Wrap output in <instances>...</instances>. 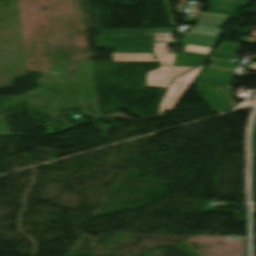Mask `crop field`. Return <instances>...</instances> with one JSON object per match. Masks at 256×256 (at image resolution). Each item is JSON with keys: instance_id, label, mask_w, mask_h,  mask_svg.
I'll return each mask as SVG.
<instances>
[{"instance_id": "crop-field-8", "label": "crop field", "mask_w": 256, "mask_h": 256, "mask_svg": "<svg viewBox=\"0 0 256 256\" xmlns=\"http://www.w3.org/2000/svg\"><path fill=\"white\" fill-rule=\"evenodd\" d=\"M162 47L163 49H160ZM153 52L160 63H173L176 53H168L165 43H154Z\"/></svg>"}, {"instance_id": "crop-field-10", "label": "crop field", "mask_w": 256, "mask_h": 256, "mask_svg": "<svg viewBox=\"0 0 256 256\" xmlns=\"http://www.w3.org/2000/svg\"><path fill=\"white\" fill-rule=\"evenodd\" d=\"M154 42L176 43L172 40V29L153 30Z\"/></svg>"}, {"instance_id": "crop-field-6", "label": "crop field", "mask_w": 256, "mask_h": 256, "mask_svg": "<svg viewBox=\"0 0 256 256\" xmlns=\"http://www.w3.org/2000/svg\"><path fill=\"white\" fill-rule=\"evenodd\" d=\"M247 2L248 0H210L209 13L230 15L235 11L236 6L245 5Z\"/></svg>"}, {"instance_id": "crop-field-2", "label": "crop field", "mask_w": 256, "mask_h": 256, "mask_svg": "<svg viewBox=\"0 0 256 256\" xmlns=\"http://www.w3.org/2000/svg\"><path fill=\"white\" fill-rule=\"evenodd\" d=\"M221 29L197 26L192 35L185 34L181 43L212 48Z\"/></svg>"}, {"instance_id": "crop-field-9", "label": "crop field", "mask_w": 256, "mask_h": 256, "mask_svg": "<svg viewBox=\"0 0 256 256\" xmlns=\"http://www.w3.org/2000/svg\"><path fill=\"white\" fill-rule=\"evenodd\" d=\"M113 61H156L153 54H112Z\"/></svg>"}, {"instance_id": "crop-field-7", "label": "crop field", "mask_w": 256, "mask_h": 256, "mask_svg": "<svg viewBox=\"0 0 256 256\" xmlns=\"http://www.w3.org/2000/svg\"><path fill=\"white\" fill-rule=\"evenodd\" d=\"M229 17L215 15H200L197 25L219 28Z\"/></svg>"}, {"instance_id": "crop-field-5", "label": "crop field", "mask_w": 256, "mask_h": 256, "mask_svg": "<svg viewBox=\"0 0 256 256\" xmlns=\"http://www.w3.org/2000/svg\"><path fill=\"white\" fill-rule=\"evenodd\" d=\"M201 92L204 94V96L208 99V101L211 103V106L209 102L204 98V96L199 92V90L196 88L197 92L200 94V96L204 99V101L208 104V106L211 108L212 111H218V110H231L234 106H236V103L234 100H232L233 94L231 90L229 89H216V88H207L209 92L214 96V98L219 102V104L222 106L220 107L217 102L212 98V96L207 92L205 88V92L211 97V99L217 104V106L220 108L218 109L215 104L209 99V97L203 92L201 88H199ZM231 103H235L234 106L231 105Z\"/></svg>"}, {"instance_id": "crop-field-3", "label": "crop field", "mask_w": 256, "mask_h": 256, "mask_svg": "<svg viewBox=\"0 0 256 256\" xmlns=\"http://www.w3.org/2000/svg\"><path fill=\"white\" fill-rule=\"evenodd\" d=\"M191 68L162 66L147 74V85L167 87L171 79Z\"/></svg>"}, {"instance_id": "crop-field-4", "label": "crop field", "mask_w": 256, "mask_h": 256, "mask_svg": "<svg viewBox=\"0 0 256 256\" xmlns=\"http://www.w3.org/2000/svg\"><path fill=\"white\" fill-rule=\"evenodd\" d=\"M184 49L179 56H176L174 64L166 65H184V66H197L199 64H190L191 62L203 63L212 49L196 47L182 44Z\"/></svg>"}, {"instance_id": "crop-field-1", "label": "crop field", "mask_w": 256, "mask_h": 256, "mask_svg": "<svg viewBox=\"0 0 256 256\" xmlns=\"http://www.w3.org/2000/svg\"><path fill=\"white\" fill-rule=\"evenodd\" d=\"M201 69L202 66L174 79L172 84L167 89V91H170L171 94L169 97L164 99L161 106L171 110V108L174 106V104L177 102V100L180 98V96L183 94V92L190 85V83Z\"/></svg>"}]
</instances>
